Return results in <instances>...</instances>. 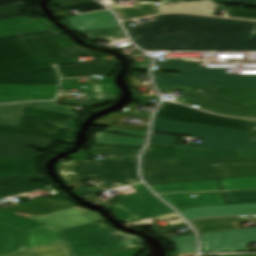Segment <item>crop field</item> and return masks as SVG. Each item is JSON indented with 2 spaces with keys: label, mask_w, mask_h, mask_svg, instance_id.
Returning a JSON list of instances; mask_svg holds the SVG:
<instances>
[{
  "label": "crop field",
  "mask_w": 256,
  "mask_h": 256,
  "mask_svg": "<svg viewBox=\"0 0 256 256\" xmlns=\"http://www.w3.org/2000/svg\"><path fill=\"white\" fill-rule=\"evenodd\" d=\"M178 102L186 105L194 104L202 107L200 109L221 115L256 118V110L245 109L220 102L201 88L195 89Z\"/></svg>",
  "instance_id": "15"
},
{
  "label": "crop field",
  "mask_w": 256,
  "mask_h": 256,
  "mask_svg": "<svg viewBox=\"0 0 256 256\" xmlns=\"http://www.w3.org/2000/svg\"><path fill=\"white\" fill-rule=\"evenodd\" d=\"M152 132L203 137L201 147L186 148L256 150V144L249 143L251 132L207 126L181 121L154 118ZM151 144L175 145L178 136L152 134Z\"/></svg>",
  "instance_id": "4"
},
{
  "label": "crop field",
  "mask_w": 256,
  "mask_h": 256,
  "mask_svg": "<svg viewBox=\"0 0 256 256\" xmlns=\"http://www.w3.org/2000/svg\"><path fill=\"white\" fill-rule=\"evenodd\" d=\"M20 37L29 49L54 64L77 62L76 57L80 56L107 55L78 47L52 30L21 34Z\"/></svg>",
  "instance_id": "7"
},
{
  "label": "crop field",
  "mask_w": 256,
  "mask_h": 256,
  "mask_svg": "<svg viewBox=\"0 0 256 256\" xmlns=\"http://www.w3.org/2000/svg\"><path fill=\"white\" fill-rule=\"evenodd\" d=\"M83 34H85L91 41L104 38L107 41L112 42L115 40L126 38L120 25L103 28L99 30H94V31H89Z\"/></svg>",
  "instance_id": "31"
},
{
  "label": "crop field",
  "mask_w": 256,
  "mask_h": 256,
  "mask_svg": "<svg viewBox=\"0 0 256 256\" xmlns=\"http://www.w3.org/2000/svg\"><path fill=\"white\" fill-rule=\"evenodd\" d=\"M37 20L49 25L44 19L31 20L28 17H18L0 21V37L48 29L47 27L35 22Z\"/></svg>",
  "instance_id": "24"
},
{
  "label": "crop field",
  "mask_w": 256,
  "mask_h": 256,
  "mask_svg": "<svg viewBox=\"0 0 256 256\" xmlns=\"http://www.w3.org/2000/svg\"><path fill=\"white\" fill-rule=\"evenodd\" d=\"M155 117L251 131L253 120L232 119L163 102Z\"/></svg>",
  "instance_id": "10"
},
{
  "label": "crop field",
  "mask_w": 256,
  "mask_h": 256,
  "mask_svg": "<svg viewBox=\"0 0 256 256\" xmlns=\"http://www.w3.org/2000/svg\"><path fill=\"white\" fill-rule=\"evenodd\" d=\"M250 142L256 143V120H254V123H253V129H252Z\"/></svg>",
  "instance_id": "55"
},
{
  "label": "crop field",
  "mask_w": 256,
  "mask_h": 256,
  "mask_svg": "<svg viewBox=\"0 0 256 256\" xmlns=\"http://www.w3.org/2000/svg\"><path fill=\"white\" fill-rule=\"evenodd\" d=\"M61 88H78V89H80V86L62 85ZM85 91L119 94V91L116 86H102V85L87 86Z\"/></svg>",
  "instance_id": "41"
},
{
  "label": "crop field",
  "mask_w": 256,
  "mask_h": 256,
  "mask_svg": "<svg viewBox=\"0 0 256 256\" xmlns=\"http://www.w3.org/2000/svg\"><path fill=\"white\" fill-rule=\"evenodd\" d=\"M74 191H76L79 195H86V194L102 192V190H100L96 187H91V188H86V189H79V190H74Z\"/></svg>",
  "instance_id": "49"
},
{
  "label": "crop field",
  "mask_w": 256,
  "mask_h": 256,
  "mask_svg": "<svg viewBox=\"0 0 256 256\" xmlns=\"http://www.w3.org/2000/svg\"><path fill=\"white\" fill-rule=\"evenodd\" d=\"M96 143L144 146L145 139L99 132L96 134Z\"/></svg>",
  "instance_id": "30"
},
{
  "label": "crop field",
  "mask_w": 256,
  "mask_h": 256,
  "mask_svg": "<svg viewBox=\"0 0 256 256\" xmlns=\"http://www.w3.org/2000/svg\"><path fill=\"white\" fill-rule=\"evenodd\" d=\"M256 158V151H227L170 148L149 145L142 159Z\"/></svg>",
  "instance_id": "13"
},
{
  "label": "crop field",
  "mask_w": 256,
  "mask_h": 256,
  "mask_svg": "<svg viewBox=\"0 0 256 256\" xmlns=\"http://www.w3.org/2000/svg\"><path fill=\"white\" fill-rule=\"evenodd\" d=\"M24 113L54 121L56 123L65 125L74 130H76L77 128L76 124L73 123L72 120L77 118L78 116L66 115V114L55 113V112L28 108V107H25Z\"/></svg>",
  "instance_id": "29"
},
{
  "label": "crop field",
  "mask_w": 256,
  "mask_h": 256,
  "mask_svg": "<svg viewBox=\"0 0 256 256\" xmlns=\"http://www.w3.org/2000/svg\"><path fill=\"white\" fill-rule=\"evenodd\" d=\"M150 66V60L144 62H135L132 69H145L148 70Z\"/></svg>",
  "instance_id": "51"
},
{
  "label": "crop field",
  "mask_w": 256,
  "mask_h": 256,
  "mask_svg": "<svg viewBox=\"0 0 256 256\" xmlns=\"http://www.w3.org/2000/svg\"><path fill=\"white\" fill-rule=\"evenodd\" d=\"M90 150L106 154H139L140 150L92 147Z\"/></svg>",
  "instance_id": "42"
},
{
  "label": "crop field",
  "mask_w": 256,
  "mask_h": 256,
  "mask_svg": "<svg viewBox=\"0 0 256 256\" xmlns=\"http://www.w3.org/2000/svg\"><path fill=\"white\" fill-rule=\"evenodd\" d=\"M177 245L178 256H193L196 251V239L194 235L170 237Z\"/></svg>",
  "instance_id": "32"
},
{
  "label": "crop field",
  "mask_w": 256,
  "mask_h": 256,
  "mask_svg": "<svg viewBox=\"0 0 256 256\" xmlns=\"http://www.w3.org/2000/svg\"><path fill=\"white\" fill-rule=\"evenodd\" d=\"M186 220L212 216L256 214V204H238L216 207H196L180 211Z\"/></svg>",
  "instance_id": "19"
},
{
  "label": "crop field",
  "mask_w": 256,
  "mask_h": 256,
  "mask_svg": "<svg viewBox=\"0 0 256 256\" xmlns=\"http://www.w3.org/2000/svg\"><path fill=\"white\" fill-rule=\"evenodd\" d=\"M93 146L143 149V147H136V146H120V145H104V144H94Z\"/></svg>",
  "instance_id": "52"
},
{
  "label": "crop field",
  "mask_w": 256,
  "mask_h": 256,
  "mask_svg": "<svg viewBox=\"0 0 256 256\" xmlns=\"http://www.w3.org/2000/svg\"><path fill=\"white\" fill-rule=\"evenodd\" d=\"M115 12L118 14L120 19L140 17L159 13L158 8L157 6H155V4L117 10Z\"/></svg>",
  "instance_id": "33"
},
{
  "label": "crop field",
  "mask_w": 256,
  "mask_h": 256,
  "mask_svg": "<svg viewBox=\"0 0 256 256\" xmlns=\"http://www.w3.org/2000/svg\"><path fill=\"white\" fill-rule=\"evenodd\" d=\"M252 221L256 222V216H251Z\"/></svg>",
  "instance_id": "63"
},
{
  "label": "crop field",
  "mask_w": 256,
  "mask_h": 256,
  "mask_svg": "<svg viewBox=\"0 0 256 256\" xmlns=\"http://www.w3.org/2000/svg\"><path fill=\"white\" fill-rule=\"evenodd\" d=\"M143 247H135L127 250L108 252L109 256H135L138 252L142 251Z\"/></svg>",
  "instance_id": "44"
},
{
  "label": "crop field",
  "mask_w": 256,
  "mask_h": 256,
  "mask_svg": "<svg viewBox=\"0 0 256 256\" xmlns=\"http://www.w3.org/2000/svg\"><path fill=\"white\" fill-rule=\"evenodd\" d=\"M182 228H188V226L185 223H182V224H178V225L153 229L152 232H154L157 235H162V234L171 232L175 229H182Z\"/></svg>",
  "instance_id": "45"
},
{
  "label": "crop field",
  "mask_w": 256,
  "mask_h": 256,
  "mask_svg": "<svg viewBox=\"0 0 256 256\" xmlns=\"http://www.w3.org/2000/svg\"><path fill=\"white\" fill-rule=\"evenodd\" d=\"M216 98L256 108V88H205Z\"/></svg>",
  "instance_id": "23"
},
{
  "label": "crop field",
  "mask_w": 256,
  "mask_h": 256,
  "mask_svg": "<svg viewBox=\"0 0 256 256\" xmlns=\"http://www.w3.org/2000/svg\"><path fill=\"white\" fill-rule=\"evenodd\" d=\"M227 3L256 6V0H221Z\"/></svg>",
  "instance_id": "48"
},
{
  "label": "crop field",
  "mask_w": 256,
  "mask_h": 256,
  "mask_svg": "<svg viewBox=\"0 0 256 256\" xmlns=\"http://www.w3.org/2000/svg\"><path fill=\"white\" fill-rule=\"evenodd\" d=\"M57 92H0V103L28 101V100H52Z\"/></svg>",
  "instance_id": "28"
},
{
  "label": "crop field",
  "mask_w": 256,
  "mask_h": 256,
  "mask_svg": "<svg viewBox=\"0 0 256 256\" xmlns=\"http://www.w3.org/2000/svg\"><path fill=\"white\" fill-rule=\"evenodd\" d=\"M218 256H256V255H218Z\"/></svg>",
  "instance_id": "60"
},
{
  "label": "crop field",
  "mask_w": 256,
  "mask_h": 256,
  "mask_svg": "<svg viewBox=\"0 0 256 256\" xmlns=\"http://www.w3.org/2000/svg\"><path fill=\"white\" fill-rule=\"evenodd\" d=\"M199 64L156 63L164 70L181 72L178 77H170L153 71L156 86L256 87V75H231L224 68H203Z\"/></svg>",
  "instance_id": "5"
},
{
  "label": "crop field",
  "mask_w": 256,
  "mask_h": 256,
  "mask_svg": "<svg viewBox=\"0 0 256 256\" xmlns=\"http://www.w3.org/2000/svg\"><path fill=\"white\" fill-rule=\"evenodd\" d=\"M143 99H159V97H150V96H144Z\"/></svg>",
  "instance_id": "61"
},
{
  "label": "crop field",
  "mask_w": 256,
  "mask_h": 256,
  "mask_svg": "<svg viewBox=\"0 0 256 256\" xmlns=\"http://www.w3.org/2000/svg\"><path fill=\"white\" fill-rule=\"evenodd\" d=\"M226 204L256 203V191L222 192Z\"/></svg>",
  "instance_id": "35"
},
{
  "label": "crop field",
  "mask_w": 256,
  "mask_h": 256,
  "mask_svg": "<svg viewBox=\"0 0 256 256\" xmlns=\"http://www.w3.org/2000/svg\"><path fill=\"white\" fill-rule=\"evenodd\" d=\"M136 161H70L59 162L56 168L65 182L102 179L106 181L105 185L111 189L139 182L136 173ZM73 162L88 163L74 164Z\"/></svg>",
  "instance_id": "6"
},
{
  "label": "crop field",
  "mask_w": 256,
  "mask_h": 256,
  "mask_svg": "<svg viewBox=\"0 0 256 256\" xmlns=\"http://www.w3.org/2000/svg\"><path fill=\"white\" fill-rule=\"evenodd\" d=\"M117 64L118 61L113 59L101 62L61 66L57 68L61 71L62 77L100 75L104 78L100 84H113V79L108 78V75L112 74Z\"/></svg>",
  "instance_id": "17"
},
{
  "label": "crop field",
  "mask_w": 256,
  "mask_h": 256,
  "mask_svg": "<svg viewBox=\"0 0 256 256\" xmlns=\"http://www.w3.org/2000/svg\"><path fill=\"white\" fill-rule=\"evenodd\" d=\"M55 1L57 2L58 5L64 6V5L88 2V1H93V0H55Z\"/></svg>",
  "instance_id": "50"
},
{
  "label": "crop field",
  "mask_w": 256,
  "mask_h": 256,
  "mask_svg": "<svg viewBox=\"0 0 256 256\" xmlns=\"http://www.w3.org/2000/svg\"><path fill=\"white\" fill-rule=\"evenodd\" d=\"M25 104H28V107H34L72 115L78 114L76 112H73V107L57 105L53 102H32L0 105V124L17 126Z\"/></svg>",
  "instance_id": "18"
},
{
  "label": "crop field",
  "mask_w": 256,
  "mask_h": 256,
  "mask_svg": "<svg viewBox=\"0 0 256 256\" xmlns=\"http://www.w3.org/2000/svg\"><path fill=\"white\" fill-rule=\"evenodd\" d=\"M13 256H69V253L65 245H62L40 250L27 251Z\"/></svg>",
  "instance_id": "37"
},
{
  "label": "crop field",
  "mask_w": 256,
  "mask_h": 256,
  "mask_svg": "<svg viewBox=\"0 0 256 256\" xmlns=\"http://www.w3.org/2000/svg\"><path fill=\"white\" fill-rule=\"evenodd\" d=\"M131 7L129 4H124V5H119V6H115V7H111L113 10H117V9H123V8H129Z\"/></svg>",
  "instance_id": "57"
},
{
  "label": "crop field",
  "mask_w": 256,
  "mask_h": 256,
  "mask_svg": "<svg viewBox=\"0 0 256 256\" xmlns=\"http://www.w3.org/2000/svg\"><path fill=\"white\" fill-rule=\"evenodd\" d=\"M37 172L36 160L0 159V175Z\"/></svg>",
  "instance_id": "27"
},
{
  "label": "crop field",
  "mask_w": 256,
  "mask_h": 256,
  "mask_svg": "<svg viewBox=\"0 0 256 256\" xmlns=\"http://www.w3.org/2000/svg\"><path fill=\"white\" fill-rule=\"evenodd\" d=\"M161 92V94H163V93H170V91H160Z\"/></svg>",
  "instance_id": "64"
},
{
  "label": "crop field",
  "mask_w": 256,
  "mask_h": 256,
  "mask_svg": "<svg viewBox=\"0 0 256 256\" xmlns=\"http://www.w3.org/2000/svg\"><path fill=\"white\" fill-rule=\"evenodd\" d=\"M129 82L133 87H145L144 85H148V84H142L141 81L134 79V77H131Z\"/></svg>",
  "instance_id": "53"
},
{
  "label": "crop field",
  "mask_w": 256,
  "mask_h": 256,
  "mask_svg": "<svg viewBox=\"0 0 256 256\" xmlns=\"http://www.w3.org/2000/svg\"><path fill=\"white\" fill-rule=\"evenodd\" d=\"M73 9H76L81 13H86V12H92V11L105 9V7L103 5H101L100 3L93 1V2H88V3L58 7V8H54L52 10L54 12H60V11H67V10H73Z\"/></svg>",
  "instance_id": "38"
},
{
  "label": "crop field",
  "mask_w": 256,
  "mask_h": 256,
  "mask_svg": "<svg viewBox=\"0 0 256 256\" xmlns=\"http://www.w3.org/2000/svg\"><path fill=\"white\" fill-rule=\"evenodd\" d=\"M21 1H26V0H0V6L6 5V4H11V3H16V2H21Z\"/></svg>",
  "instance_id": "56"
},
{
  "label": "crop field",
  "mask_w": 256,
  "mask_h": 256,
  "mask_svg": "<svg viewBox=\"0 0 256 256\" xmlns=\"http://www.w3.org/2000/svg\"><path fill=\"white\" fill-rule=\"evenodd\" d=\"M223 190L256 189V177L220 180Z\"/></svg>",
  "instance_id": "34"
},
{
  "label": "crop field",
  "mask_w": 256,
  "mask_h": 256,
  "mask_svg": "<svg viewBox=\"0 0 256 256\" xmlns=\"http://www.w3.org/2000/svg\"><path fill=\"white\" fill-rule=\"evenodd\" d=\"M24 3H16L0 7V20L21 15Z\"/></svg>",
  "instance_id": "40"
},
{
  "label": "crop field",
  "mask_w": 256,
  "mask_h": 256,
  "mask_svg": "<svg viewBox=\"0 0 256 256\" xmlns=\"http://www.w3.org/2000/svg\"><path fill=\"white\" fill-rule=\"evenodd\" d=\"M40 173L25 174V175H11V176H0V185H6L8 187L0 188V199L6 198L29 191H38L41 189L48 188L41 184H34L31 180L42 179Z\"/></svg>",
  "instance_id": "20"
},
{
  "label": "crop field",
  "mask_w": 256,
  "mask_h": 256,
  "mask_svg": "<svg viewBox=\"0 0 256 256\" xmlns=\"http://www.w3.org/2000/svg\"><path fill=\"white\" fill-rule=\"evenodd\" d=\"M249 222L248 217L202 219L192 221V225L200 232L237 229L235 223Z\"/></svg>",
  "instance_id": "26"
},
{
  "label": "crop field",
  "mask_w": 256,
  "mask_h": 256,
  "mask_svg": "<svg viewBox=\"0 0 256 256\" xmlns=\"http://www.w3.org/2000/svg\"><path fill=\"white\" fill-rule=\"evenodd\" d=\"M154 19L128 29L134 42L146 51H256V39H249L254 22L184 14Z\"/></svg>",
  "instance_id": "1"
},
{
  "label": "crop field",
  "mask_w": 256,
  "mask_h": 256,
  "mask_svg": "<svg viewBox=\"0 0 256 256\" xmlns=\"http://www.w3.org/2000/svg\"><path fill=\"white\" fill-rule=\"evenodd\" d=\"M79 32L117 25L118 22L109 10L81 14L66 18Z\"/></svg>",
  "instance_id": "22"
},
{
  "label": "crop field",
  "mask_w": 256,
  "mask_h": 256,
  "mask_svg": "<svg viewBox=\"0 0 256 256\" xmlns=\"http://www.w3.org/2000/svg\"><path fill=\"white\" fill-rule=\"evenodd\" d=\"M106 131L116 132V133H119V134H128V135L141 136V137H146V135H147V132L123 130V129H114V128H107Z\"/></svg>",
  "instance_id": "46"
},
{
  "label": "crop field",
  "mask_w": 256,
  "mask_h": 256,
  "mask_svg": "<svg viewBox=\"0 0 256 256\" xmlns=\"http://www.w3.org/2000/svg\"><path fill=\"white\" fill-rule=\"evenodd\" d=\"M51 66L29 52L17 35L0 38V73Z\"/></svg>",
  "instance_id": "11"
},
{
  "label": "crop field",
  "mask_w": 256,
  "mask_h": 256,
  "mask_svg": "<svg viewBox=\"0 0 256 256\" xmlns=\"http://www.w3.org/2000/svg\"><path fill=\"white\" fill-rule=\"evenodd\" d=\"M167 62H204L198 58H166Z\"/></svg>",
  "instance_id": "47"
},
{
  "label": "crop field",
  "mask_w": 256,
  "mask_h": 256,
  "mask_svg": "<svg viewBox=\"0 0 256 256\" xmlns=\"http://www.w3.org/2000/svg\"><path fill=\"white\" fill-rule=\"evenodd\" d=\"M138 193L118 197L110 212L122 223L148 219L167 213L172 209L155 197L142 183L133 185Z\"/></svg>",
  "instance_id": "8"
},
{
  "label": "crop field",
  "mask_w": 256,
  "mask_h": 256,
  "mask_svg": "<svg viewBox=\"0 0 256 256\" xmlns=\"http://www.w3.org/2000/svg\"><path fill=\"white\" fill-rule=\"evenodd\" d=\"M228 17L256 19V12H251L249 10H230Z\"/></svg>",
  "instance_id": "43"
},
{
  "label": "crop field",
  "mask_w": 256,
  "mask_h": 256,
  "mask_svg": "<svg viewBox=\"0 0 256 256\" xmlns=\"http://www.w3.org/2000/svg\"><path fill=\"white\" fill-rule=\"evenodd\" d=\"M250 38H256V22L254 23Z\"/></svg>",
  "instance_id": "58"
},
{
  "label": "crop field",
  "mask_w": 256,
  "mask_h": 256,
  "mask_svg": "<svg viewBox=\"0 0 256 256\" xmlns=\"http://www.w3.org/2000/svg\"><path fill=\"white\" fill-rule=\"evenodd\" d=\"M0 132L72 143L75 131L38 117L22 114L18 127L0 125Z\"/></svg>",
  "instance_id": "9"
},
{
  "label": "crop field",
  "mask_w": 256,
  "mask_h": 256,
  "mask_svg": "<svg viewBox=\"0 0 256 256\" xmlns=\"http://www.w3.org/2000/svg\"><path fill=\"white\" fill-rule=\"evenodd\" d=\"M151 187L156 193H167V192H177V191L195 192V191L220 190L217 180L156 185Z\"/></svg>",
  "instance_id": "25"
},
{
  "label": "crop field",
  "mask_w": 256,
  "mask_h": 256,
  "mask_svg": "<svg viewBox=\"0 0 256 256\" xmlns=\"http://www.w3.org/2000/svg\"><path fill=\"white\" fill-rule=\"evenodd\" d=\"M51 141L0 133V158L38 159L43 154L27 146L46 150Z\"/></svg>",
  "instance_id": "14"
},
{
  "label": "crop field",
  "mask_w": 256,
  "mask_h": 256,
  "mask_svg": "<svg viewBox=\"0 0 256 256\" xmlns=\"http://www.w3.org/2000/svg\"><path fill=\"white\" fill-rule=\"evenodd\" d=\"M247 62H256V52H254V60H247Z\"/></svg>",
  "instance_id": "62"
},
{
  "label": "crop field",
  "mask_w": 256,
  "mask_h": 256,
  "mask_svg": "<svg viewBox=\"0 0 256 256\" xmlns=\"http://www.w3.org/2000/svg\"><path fill=\"white\" fill-rule=\"evenodd\" d=\"M85 96L88 97V100L85 102H57V103L83 105V106H94L101 102L115 100V99H117V97L119 95L86 92Z\"/></svg>",
  "instance_id": "36"
},
{
  "label": "crop field",
  "mask_w": 256,
  "mask_h": 256,
  "mask_svg": "<svg viewBox=\"0 0 256 256\" xmlns=\"http://www.w3.org/2000/svg\"><path fill=\"white\" fill-rule=\"evenodd\" d=\"M194 194V193H193ZM197 198H192L188 193L161 195L164 200L181 210L195 206L225 205L221 193H195Z\"/></svg>",
  "instance_id": "21"
},
{
  "label": "crop field",
  "mask_w": 256,
  "mask_h": 256,
  "mask_svg": "<svg viewBox=\"0 0 256 256\" xmlns=\"http://www.w3.org/2000/svg\"><path fill=\"white\" fill-rule=\"evenodd\" d=\"M62 84L87 85V83H78L77 79L62 80Z\"/></svg>",
  "instance_id": "54"
},
{
  "label": "crop field",
  "mask_w": 256,
  "mask_h": 256,
  "mask_svg": "<svg viewBox=\"0 0 256 256\" xmlns=\"http://www.w3.org/2000/svg\"><path fill=\"white\" fill-rule=\"evenodd\" d=\"M58 85L51 86H16L0 85V91H57Z\"/></svg>",
  "instance_id": "39"
},
{
  "label": "crop field",
  "mask_w": 256,
  "mask_h": 256,
  "mask_svg": "<svg viewBox=\"0 0 256 256\" xmlns=\"http://www.w3.org/2000/svg\"><path fill=\"white\" fill-rule=\"evenodd\" d=\"M202 252H248L246 242H256V227L200 234Z\"/></svg>",
  "instance_id": "12"
},
{
  "label": "crop field",
  "mask_w": 256,
  "mask_h": 256,
  "mask_svg": "<svg viewBox=\"0 0 256 256\" xmlns=\"http://www.w3.org/2000/svg\"><path fill=\"white\" fill-rule=\"evenodd\" d=\"M177 165L205 164L222 179L256 176V159L175 160ZM149 185L218 179L205 166H175L172 160H142Z\"/></svg>",
  "instance_id": "3"
},
{
  "label": "crop field",
  "mask_w": 256,
  "mask_h": 256,
  "mask_svg": "<svg viewBox=\"0 0 256 256\" xmlns=\"http://www.w3.org/2000/svg\"><path fill=\"white\" fill-rule=\"evenodd\" d=\"M158 90H171V87H156Z\"/></svg>",
  "instance_id": "59"
},
{
  "label": "crop field",
  "mask_w": 256,
  "mask_h": 256,
  "mask_svg": "<svg viewBox=\"0 0 256 256\" xmlns=\"http://www.w3.org/2000/svg\"><path fill=\"white\" fill-rule=\"evenodd\" d=\"M58 73V72H57ZM54 67L0 74V84L51 85L59 83Z\"/></svg>",
  "instance_id": "16"
},
{
  "label": "crop field",
  "mask_w": 256,
  "mask_h": 256,
  "mask_svg": "<svg viewBox=\"0 0 256 256\" xmlns=\"http://www.w3.org/2000/svg\"><path fill=\"white\" fill-rule=\"evenodd\" d=\"M65 243L68 248L99 245L68 250L70 256H108L104 252L142 245V239L127 235L99 223H91L64 231L47 225L21 230L0 222V256H9L27 249Z\"/></svg>",
  "instance_id": "2"
}]
</instances>
